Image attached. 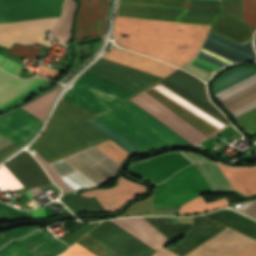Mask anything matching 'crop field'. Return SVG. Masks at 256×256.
Listing matches in <instances>:
<instances>
[{
  "mask_svg": "<svg viewBox=\"0 0 256 256\" xmlns=\"http://www.w3.org/2000/svg\"><path fill=\"white\" fill-rule=\"evenodd\" d=\"M211 26L117 17L115 41L128 50L183 66L196 57Z\"/></svg>",
  "mask_w": 256,
  "mask_h": 256,
  "instance_id": "obj_1",
  "label": "crop field"
},
{
  "mask_svg": "<svg viewBox=\"0 0 256 256\" xmlns=\"http://www.w3.org/2000/svg\"><path fill=\"white\" fill-rule=\"evenodd\" d=\"M85 73L137 90H144L163 78L99 58ZM83 73L63 99L102 115L140 92Z\"/></svg>",
  "mask_w": 256,
  "mask_h": 256,
  "instance_id": "obj_2",
  "label": "crop field"
},
{
  "mask_svg": "<svg viewBox=\"0 0 256 256\" xmlns=\"http://www.w3.org/2000/svg\"><path fill=\"white\" fill-rule=\"evenodd\" d=\"M194 164L213 190H236L244 196L256 194V166L227 167L191 152L177 151L158 155L142 163L134 164L129 172L149 179L156 185L166 181L179 170Z\"/></svg>",
  "mask_w": 256,
  "mask_h": 256,
  "instance_id": "obj_3",
  "label": "crop field"
},
{
  "mask_svg": "<svg viewBox=\"0 0 256 256\" xmlns=\"http://www.w3.org/2000/svg\"><path fill=\"white\" fill-rule=\"evenodd\" d=\"M97 116L61 99L45 131L31 146L50 163L107 140L86 122Z\"/></svg>",
  "mask_w": 256,
  "mask_h": 256,
  "instance_id": "obj_4",
  "label": "crop field"
},
{
  "mask_svg": "<svg viewBox=\"0 0 256 256\" xmlns=\"http://www.w3.org/2000/svg\"><path fill=\"white\" fill-rule=\"evenodd\" d=\"M64 0H0V24L61 13ZM58 15L0 25V45L10 48L14 42L42 43L52 47L45 39ZM60 17V16H59Z\"/></svg>",
  "mask_w": 256,
  "mask_h": 256,
  "instance_id": "obj_5",
  "label": "crop field"
},
{
  "mask_svg": "<svg viewBox=\"0 0 256 256\" xmlns=\"http://www.w3.org/2000/svg\"><path fill=\"white\" fill-rule=\"evenodd\" d=\"M97 119L145 152L165 146L191 145L129 100Z\"/></svg>",
  "mask_w": 256,
  "mask_h": 256,
  "instance_id": "obj_6",
  "label": "crop field"
},
{
  "mask_svg": "<svg viewBox=\"0 0 256 256\" xmlns=\"http://www.w3.org/2000/svg\"><path fill=\"white\" fill-rule=\"evenodd\" d=\"M222 3L203 0H119L117 16L213 25Z\"/></svg>",
  "mask_w": 256,
  "mask_h": 256,
  "instance_id": "obj_7",
  "label": "crop field"
},
{
  "mask_svg": "<svg viewBox=\"0 0 256 256\" xmlns=\"http://www.w3.org/2000/svg\"><path fill=\"white\" fill-rule=\"evenodd\" d=\"M153 88V87H152ZM151 89V88H150ZM154 89V88H153ZM156 90V89H154ZM154 90H149L140 96L132 99L131 101L137 103L142 108H144L146 111L151 113L153 116H155L157 119H159L161 122L166 124L168 127H170L172 130L177 132L179 135H181L183 138H185L187 141H189L191 144L196 143L203 138L209 136L214 131L216 134L220 131L206 123L205 121L201 120L170 98L166 97L159 91L162 96L167 98L169 101L177 105L179 108L184 110L186 113L194 117L196 120L207 126L209 129H207L205 126L200 124L198 121L193 119L191 116L186 114L184 111L179 109L177 106L169 102L167 99L162 97L160 94L155 92ZM211 136V135H210Z\"/></svg>",
  "mask_w": 256,
  "mask_h": 256,
  "instance_id": "obj_8",
  "label": "crop field"
},
{
  "mask_svg": "<svg viewBox=\"0 0 256 256\" xmlns=\"http://www.w3.org/2000/svg\"><path fill=\"white\" fill-rule=\"evenodd\" d=\"M255 60L252 41L239 45L209 32L197 57L181 68L207 81L218 69L227 64Z\"/></svg>",
  "mask_w": 256,
  "mask_h": 256,
  "instance_id": "obj_9",
  "label": "crop field"
},
{
  "mask_svg": "<svg viewBox=\"0 0 256 256\" xmlns=\"http://www.w3.org/2000/svg\"><path fill=\"white\" fill-rule=\"evenodd\" d=\"M218 96L234 112L256 103V71L237 69L217 83ZM244 127L256 131V104L236 113Z\"/></svg>",
  "mask_w": 256,
  "mask_h": 256,
  "instance_id": "obj_10",
  "label": "crop field"
},
{
  "mask_svg": "<svg viewBox=\"0 0 256 256\" xmlns=\"http://www.w3.org/2000/svg\"><path fill=\"white\" fill-rule=\"evenodd\" d=\"M51 165L70 189L95 185L118 167L94 147Z\"/></svg>",
  "mask_w": 256,
  "mask_h": 256,
  "instance_id": "obj_11",
  "label": "crop field"
},
{
  "mask_svg": "<svg viewBox=\"0 0 256 256\" xmlns=\"http://www.w3.org/2000/svg\"><path fill=\"white\" fill-rule=\"evenodd\" d=\"M88 235L120 256H151L156 252L110 221L102 222Z\"/></svg>",
  "mask_w": 256,
  "mask_h": 256,
  "instance_id": "obj_12",
  "label": "crop field"
},
{
  "mask_svg": "<svg viewBox=\"0 0 256 256\" xmlns=\"http://www.w3.org/2000/svg\"><path fill=\"white\" fill-rule=\"evenodd\" d=\"M58 241L45 229H40L28 237L7 243L0 249V256H57L68 248Z\"/></svg>",
  "mask_w": 256,
  "mask_h": 256,
  "instance_id": "obj_13",
  "label": "crop field"
},
{
  "mask_svg": "<svg viewBox=\"0 0 256 256\" xmlns=\"http://www.w3.org/2000/svg\"><path fill=\"white\" fill-rule=\"evenodd\" d=\"M160 83L186 97L226 124H230L223 114L209 102L205 84L200 79L179 69Z\"/></svg>",
  "mask_w": 256,
  "mask_h": 256,
  "instance_id": "obj_14",
  "label": "crop field"
},
{
  "mask_svg": "<svg viewBox=\"0 0 256 256\" xmlns=\"http://www.w3.org/2000/svg\"><path fill=\"white\" fill-rule=\"evenodd\" d=\"M193 219L195 224L180 225L178 231L169 237L173 241L186 234V236L176 247L170 248L180 256H185L196 247L226 228L203 216L195 217Z\"/></svg>",
  "mask_w": 256,
  "mask_h": 256,
  "instance_id": "obj_15",
  "label": "crop field"
},
{
  "mask_svg": "<svg viewBox=\"0 0 256 256\" xmlns=\"http://www.w3.org/2000/svg\"><path fill=\"white\" fill-rule=\"evenodd\" d=\"M42 123L20 108L0 117V134L21 146L35 135Z\"/></svg>",
  "mask_w": 256,
  "mask_h": 256,
  "instance_id": "obj_16",
  "label": "crop field"
},
{
  "mask_svg": "<svg viewBox=\"0 0 256 256\" xmlns=\"http://www.w3.org/2000/svg\"><path fill=\"white\" fill-rule=\"evenodd\" d=\"M108 0H81L74 40L103 35Z\"/></svg>",
  "mask_w": 256,
  "mask_h": 256,
  "instance_id": "obj_17",
  "label": "crop field"
},
{
  "mask_svg": "<svg viewBox=\"0 0 256 256\" xmlns=\"http://www.w3.org/2000/svg\"><path fill=\"white\" fill-rule=\"evenodd\" d=\"M147 187L124 179L120 176L118 184L109 189H94L81 193V196L96 197L100 204L108 211L119 209L127 200L146 193ZM148 191V190H147Z\"/></svg>",
  "mask_w": 256,
  "mask_h": 256,
  "instance_id": "obj_18",
  "label": "crop field"
},
{
  "mask_svg": "<svg viewBox=\"0 0 256 256\" xmlns=\"http://www.w3.org/2000/svg\"><path fill=\"white\" fill-rule=\"evenodd\" d=\"M112 222L156 250L157 252L152 256H177L162 247L170 241L142 217L124 218Z\"/></svg>",
  "mask_w": 256,
  "mask_h": 256,
  "instance_id": "obj_19",
  "label": "crop field"
},
{
  "mask_svg": "<svg viewBox=\"0 0 256 256\" xmlns=\"http://www.w3.org/2000/svg\"><path fill=\"white\" fill-rule=\"evenodd\" d=\"M4 165L20 180L27 190L52 184L40 164L27 151L19 153Z\"/></svg>",
  "mask_w": 256,
  "mask_h": 256,
  "instance_id": "obj_20",
  "label": "crop field"
},
{
  "mask_svg": "<svg viewBox=\"0 0 256 256\" xmlns=\"http://www.w3.org/2000/svg\"><path fill=\"white\" fill-rule=\"evenodd\" d=\"M102 58L133 67L160 77H167L171 73L177 70V68H174L170 65H167L163 62L153 60L149 57L129 52V51H123L115 46L106 53Z\"/></svg>",
  "mask_w": 256,
  "mask_h": 256,
  "instance_id": "obj_21",
  "label": "crop field"
},
{
  "mask_svg": "<svg viewBox=\"0 0 256 256\" xmlns=\"http://www.w3.org/2000/svg\"><path fill=\"white\" fill-rule=\"evenodd\" d=\"M253 242L234 231L219 234L188 256H229Z\"/></svg>",
  "mask_w": 256,
  "mask_h": 256,
  "instance_id": "obj_22",
  "label": "crop field"
},
{
  "mask_svg": "<svg viewBox=\"0 0 256 256\" xmlns=\"http://www.w3.org/2000/svg\"><path fill=\"white\" fill-rule=\"evenodd\" d=\"M45 80L46 79L40 77L21 80L0 70V108L9 104Z\"/></svg>",
  "mask_w": 256,
  "mask_h": 256,
  "instance_id": "obj_23",
  "label": "crop field"
},
{
  "mask_svg": "<svg viewBox=\"0 0 256 256\" xmlns=\"http://www.w3.org/2000/svg\"><path fill=\"white\" fill-rule=\"evenodd\" d=\"M211 32L222 35L239 44L252 40L254 33L252 28L225 13L214 23Z\"/></svg>",
  "mask_w": 256,
  "mask_h": 256,
  "instance_id": "obj_24",
  "label": "crop field"
},
{
  "mask_svg": "<svg viewBox=\"0 0 256 256\" xmlns=\"http://www.w3.org/2000/svg\"><path fill=\"white\" fill-rule=\"evenodd\" d=\"M206 216L256 240V223L241 215L225 209Z\"/></svg>",
  "mask_w": 256,
  "mask_h": 256,
  "instance_id": "obj_25",
  "label": "crop field"
},
{
  "mask_svg": "<svg viewBox=\"0 0 256 256\" xmlns=\"http://www.w3.org/2000/svg\"><path fill=\"white\" fill-rule=\"evenodd\" d=\"M153 87L159 90L160 92H162L163 94H165L166 96L170 97L171 99H173L174 101H176L177 103H179L180 105H182L183 107H185L186 109H188L189 111H191L192 113L200 117L201 119L205 120L206 122H208L209 124L217 128L218 130L221 131L227 127V125L224 124L222 121L215 118L214 116L204 111L203 109L199 108L198 106L194 105L189 100L185 99L184 97L172 91L171 89L165 87L164 85L158 83L153 85Z\"/></svg>",
  "mask_w": 256,
  "mask_h": 256,
  "instance_id": "obj_26",
  "label": "crop field"
},
{
  "mask_svg": "<svg viewBox=\"0 0 256 256\" xmlns=\"http://www.w3.org/2000/svg\"><path fill=\"white\" fill-rule=\"evenodd\" d=\"M224 12L242 21V0H222ZM243 22L252 28L256 26V0H243Z\"/></svg>",
  "mask_w": 256,
  "mask_h": 256,
  "instance_id": "obj_27",
  "label": "crop field"
},
{
  "mask_svg": "<svg viewBox=\"0 0 256 256\" xmlns=\"http://www.w3.org/2000/svg\"><path fill=\"white\" fill-rule=\"evenodd\" d=\"M77 3L73 0H66L63 15L53 28V36L59 43H67L71 38L72 22Z\"/></svg>",
  "mask_w": 256,
  "mask_h": 256,
  "instance_id": "obj_28",
  "label": "crop field"
},
{
  "mask_svg": "<svg viewBox=\"0 0 256 256\" xmlns=\"http://www.w3.org/2000/svg\"><path fill=\"white\" fill-rule=\"evenodd\" d=\"M227 205L225 198L205 203L201 195L178 207L179 215L204 213Z\"/></svg>",
  "mask_w": 256,
  "mask_h": 256,
  "instance_id": "obj_29",
  "label": "crop field"
},
{
  "mask_svg": "<svg viewBox=\"0 0 256 256\" xmlns=\"http://www.w3.org/2000/svg\"><path fill=\"white\" fill-rule=\"evenodd\" d=\"M61 87L47 93L46 95L30 102L26 106L22 107L40 120H44L46 117L54 99L56 98Z\"/></svg>",
  "mask_w": 256,
  "mask_h": 256,
  "instance_id": "obj_30",
  "label": "crop field"
},
{
  "mask_svg": "<svg viewBox=\"0 0 256 256\" xmlns=\"http://www.w3.org/2000/svg\"><path fill=\"white\" fill-rule=\"evenodd\" d=\"M64 204L68 205L74 211L80 212H104L101 206L94 199H87L80 196H67L60 198ZM67 206V207H68Z\"/></svg>",
  "mask_w": 256,
  "mask_h": 256,
  "instance_id": "obj_31",
  "label": "crop field"
},
{
  "mask_svg": "<svg viewBox=\"0 0 256 256\" xmlns=\"http://www.w3.org/2000/svg\"><path fill=\"white\" fill-rule=\"evenodd\" d=\"M91 125L96 127L98 130L106 134L108 137L113 139L115 142H117L119 145H121L123 148H125L127 151H129L133 155H138L140 153H144L142 150L128 142L126 139H124L121 135L116 133L115 131L109 129L108 127L104 126L102 123H100L96 118L88 121Z\"/></svg>",
  "mask_w": 256,
  "mask_h": 256,
  "instance_id": "obj_32",
  "label": "crop field"
},
{
  "mask_svg": "<svg viewBox=\"0 0 256 256\" xmlns=\"http://www.w3.org/2000/svg\"><path fill=\"white\" fill-rule=\"evenodd\" d=\"M95 146L120 165L124 159L133 156L111 139Z\"/></svg>",
  "mask_w": 256,
  "mask_h": 256,
  "instance_id": "obj_33",
  "label": "crop field"
},
{
  "mask_svg": "<svg viewBox=\"0 0 256 256\" xmlns=\"http://www.w3.org/2000/svg\"><path fill=\"white\" fill-rule=\"evenodd\" d=\"M167 238L176 232L179 224L172 225L171 217H143Z\"/></svg>",
  "mask_w": 256,
  "mask_h": 256,
  "instance_id": "obj_34",
  "label": "crop field"
},
{
  "mask_svg": "<svg viewBox=\"0 0 256 256\" xmlns=\"http://www.w3.org/2000/svg\"><path fill=\"white\" fill-rule=\"evenodd\" d=\"M0 219L3 220H21L32 219L31 211H20L0 202Z\"/></svg>",
  "mask_w": 256,
  "mask_h": 256,
  "instance_id": "obj_35",
  "label": "crop field"
},
{
  "mask_svg": "<svg viewBox=\"0 0 256 256\" xmlns=\"http://www.w3.org/2000/svg\"><path fill=\"white\" fill-rule=\"evenodd\" d=\"M77 243L85 247L86 249L90 250L97 256H118L100 243L96 242L89 236L85 235L81 240Z\"/></svg>",
  "mask_w": 256,
  "mask_h": 256,
  "instance_id": "obj_36",
  "label": "crop field"
},
{
  "mask_svg": "<svg viewBox=\"0 0 256 256\" xmlns=\"http://www.w3.org/2000/svg\"><path fill=\"white\" fill-rule=\"evenodd\" d=\"M23 187L18 180L3 165L0 167V189L2 191L10 189L11 191Z\"/></svg>",
  "mask_w": 256,
  "mask_h": 256,
  "instance_id": "obj_37",
  "label": "crop field"
},
{
  "mask_svg": "<svg viewBox=\"0 0 256 256\" xmlns=\"http://www.w3.org/2000/svg\"><path fill=\"white\" fill-rule=\"evenodd\" d=\"M41 51H42L41 48L25 46V45L14 43L8 55L25 56V57L36 60L37 56Z\"/></svg>",
  "mask_w": 256,
  "mask_h": 256,
  "instance_id": "obj_38",
  "label": "crop field"
},
{
  "mask_svg": "<svg viewBox=\"0 0 256 256\" xmlns=\"http://www.w3.org/2000/svg\"><path fill=\"white\" fill-rule=\"evenodd\" d=\"M42 226V225H40ZM40 226H33V227H25L19 228L15 230H11L8 232L0 233V247L7 243L12 238H21L33 232L34 230L38 229Z\"/></svg>",
  "mask_w": 256,
  "mask_h": 256,
  "instance_id": "obj_39",
  "label": "crop field"
},
{
  "mask_svg": "<svg viewBox=\"0 0 256 256\" xmlns=\"http://www.w3.org/2000/svg\"><path fill=\"white\" fill-rule=\"evenodd\" d=\"M100 222L98 223H92V224H84L78 229H76L74 232L71 234L65 236L61 240L68 243L70 246L76 242L78 239H80L84 234H86L88 231L92 230L96 226H98Z\"/></svg>",
  "mask_w": 256,
  "mask_h": 256,
  "instance_id": "obj_40",
  "label": "crop field"
},
{
  "mask_svg": "<svg viewBox=\"0 0 256 256\" xmlns=\"http://www.w3.org/2000/svg\"><path fill=\"white\" fill-rule=\"evenodd\" d=\"M35 157L38 159L41 165L48 172L50 178L55 182V184L59 186L62 189V191L68 190L67 187L64 185L63 181L56 174V172L50 167V165L39 154L35 155Z\"/></svg>",
  "mask_w": 256,
  "mask_h": 256,
  "instance_id": "obj_41",
  "label": "crop field"
},
{
  "mask_svg": "<svg viewBox=\"0 0 256 256\" xmlns=\"http://www.w3.org/2000/svg\"><path fill=\"white\" fill-rule=\"evenodd\" d=\"M59 256H95V255L76 243L70 249L63 252Z\"/></svg>",
  "mask_w": 256,
  "mask_h": 256,
  "instance_id": "obj_42",
  "label": "crop field"
},
{
  "mask_svg": "<svg viewBox=\"0 0 256 256\" xmlns=\"http://www.w3.org/2000/svg\"><path fill=\"white\" fill-rule=\"evenodd\" d=\"M1 68H3V69H5V70H7V71H9V72H11V73L16 75L17 72L22 68V65H20V64H18L16 62H13V61H11L10 59H8L6 57V59L4 60L3 64L1 65Z\"/></svg>",
  "mask_w": 256,
  "mask_h": 256,
  "instance_id": "obj_43",
  "label": "crop field"
},
{
  "mask_svg": "<svg viewBox=\"0 0 256 256\" xmlns=\"http://www.w3.org/2000/svg\"><path fill=\"white\" fill-rule=\"evenodd\" d=\"M59 73H60V71L53 70L43 64H41V66L38 70V75L53 78V79H56V77L59 75Z\"/></svg>",
  "mask_w": 256,
  "mask_h": 256,
  "instance_id": "obj_44",
  "label": "crop field"
},
{
  "mask_svg": "<svg viewBox=\"0 0 256 256\" xmlns=\"http://www.w3.org/2000/svg\"><path fill=\"white\" fill-rule=\"evenodd\" d=\"M235 208L256 217V201L248 202V203H241V204L236 205Z\"/></svg>",
  "mask_w": 256,
  "mask_h": 256,
  "instance_id": "obj_45",
  "label": "crop field"
},
{
  "mask_svg": "<svg viewBox=\"0 0 256 256\" xmlns=\"http://www.w3.org/2000/svg\"><path fill=\"white\" fill-rule=\"evenodd\" d=\"M232 256H256V241Z\"/></svg>",
  "mask_w": 256,
  "mask_h": 256,
  "instance_id": "obj_46",
  "label": "crop field"
},
{
  "mask_svg": "<svg viewBox=\"0 0 256 256\" xmlns=\"http://www.w3.org/2000/svg\"><path fill=\"white\" fill-rule=\"evenodd\" d=\"M19 148L20 147H18L16 145H12V146L0 151V161L3 160L5 157H7L8 155H10L11 153H13L14 151H16Z\"/></svg>",
  "mask_w": 256,
  "mask_h": 256,
  "instance_id": "obj_47",
  "label": "crop field"
},
{
  "mask_svg": "<svg viewBox=\"0 0 256 256\" xmlns=\"http://www.w3.org/2000/svg\"><path fill=\"white\" fill-rule=\"evenodd\" d=\"M156 214H177V208H155Z\"/></svg>",
  "mask_w": 256,
  "mask_h": 256,
  "instance_id": "obj_48",
  "label": "crop field"
},
{
  "mask_svg": "<svg viewBox=\"0 0 256 256\" xmlns=\"http://www.w3.org/2000/svg\"><path fill=\"white\" fill-rule=\"evenodd\" d=\"M11 144L13 143L0 135V150Z\"/></svg>",
  "mask_w": 256,
  "mask_h": 256,
  "instance_id": "obj_49",
  "label": "crop field"
},
{
  "mask_svg": "<svg viewBox=\"0 0 256 256\" xmlns=\"http://www.w3.org/2000/svg\"><path fill=\"white\" fill-rule=\"evenodd\" d=\"M7 52H8V49H6V48L0 46V54H2V55L5 56Z\"/></svg>",
  "mask_w": 256,
  "mask_h": 256,
  "instance_id": "obj_50",
  "label": "crop field"
},
{
  "mask_svg": "<svg viewBox=\"0 0 256 256\" xmlns=\"http://www.w3.org/2000/svg\"><path fill=\"white\" fill-rule=\"evenodd\" d=\"M2 59H3V56L0 55V62L2 61Z\"/></svg>",
  "mask_w": 256,
  "mask_h": 256,
  "instance_id": "obj_51",
  "label": "crop field"
},
{
  "mask_svg": "<svg viewBox=\"0 0 256 256\" xmlns=\"http://www.w3.org/2000/svg\"><path fill=\"white\" fill-rule=\"evenodd\" d=\"M216 1H221V0H216Z\"/></svg>",
  "mask_w": 256,
  "mask_h": 256,
  "instance_id": "obj_52",
  "label": "crop field"
}]
</instances>
